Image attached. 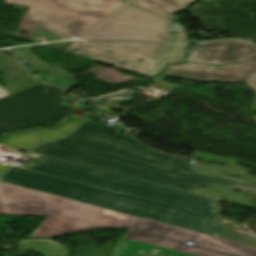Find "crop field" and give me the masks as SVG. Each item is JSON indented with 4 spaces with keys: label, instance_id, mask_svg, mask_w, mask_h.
Wrapping results in <instances>:
<instances>
[{
    "label": "crop field",
    "instance_id": "obj_1",
    "mask_svg": "<svg viewBox=\"0 0 256 256\" xmlns=\"http://www.w3.org/2000/svg\"><path fill=\"white\" fill-rule=\"evenodd\" d=\"M41 163L11 167L1 181L219 237L216 199L30 153Z\"/></svg>",
    "mask_w": 256,
    "mask_h": 256
},
{
    "label": "crop field",
    "instance_id": "obj_2",
    "mask_svg": "<svg viewBox=\"0 0 256 256\" xmlns=\"http://www.w3.org/2000/svg\"><path fill=\"white\" fill-rule=\"evenodd\" d=\"M32 152L180 190L221 184L256 193V186L196 173L184 160L156 152L115 128L89 120L70 137Z\"/></svg>",
    "mask_w": 256,
    "mask_h": 256
},
{
    "label": "crop field",
    "instance_id": "obj_3",
    "mask_svg": "<svg viewBox=\"0 0 256 256\" xmlns=\"http://www.w3.org/2000/svg\"><path fill=\"white\" fill-rule=\"evenodd\" d=\"M0 215L48 217L29 237H57L93 228H130L138 219L1 181Z\"/></svg>",
    "mask_w": 256,
    "mask_h": 256
},
{
    "label": "crop field",
    "instance_id": "obj_4",
    "mask_svg": "<svg viewBox=\"0 0 256 256\" xmlns=\"http://www.w3.org/2000/svg\"><path fill=\"white\" fill-rule=\"evenodd\" d=\"M64 91L42 83L0 99V138L3 133L39 126L52 127L75 108L63 103Z\"/></svg>",
    "mask_w": 256,
    "mask_h": 256
},
{
    "label": "crop field",
    "instance_id": "obj_5",
    "mask_svg": "<svg viewBox=\"0 0 256 256\" xmlns=\"http://www.w3.org/2000/svg\"><path fill=\"white\" fill-rule=\"evenodd\" d=\"M131 228L178 241H189L195 244L190 246L182 242L138 232L135 230H128L123 237L195 256H256L255 247L142 218H139Z\"/></svg>",
    "mask_w": 256,
    "mask_h": 256
},
{
    "label": "crop field",
    "instance_id": "obj_6",
    "mask_svg": "<svg viewBox=\"0 0 256 256\" xmlns=\"http://www.w3.org/2000/svg\"><path fill=\"white\" fill-rule=\"evenodd\" d=\"M173 21L126 5L79 39L165 41Z\"/></svg>",
    "mask_w": 256,
    "mask_h": 256
},
{
    "label": "crop field",
    "instance_id": "obj_7",
    "mask_svg": "<svg viewBox=\"0 0 256 256\" xmlns=\"http://www.w3.org/2000/svg\"><path fill=\"white\" fill-rule=\"evenodd\" d=\"M164 44L75 41L73 47L97 61L150 76ZM106 50L110 53L105 52Z\"/></svg>",
    "mask_w": 256,
    "mask_h": 256
},
{
    "label": "crop field",
    "instance_id": "obj_8",
    "mask_svg": "<svg viewBox=\"0 0 256 256\" xmlns=\"http://www.w3.org/2000/svg\"><path fill=\"white\" fill-rule=\"evenodd\" d=\"M256 70V61L242 64H231L222 67L184 63L172 64L164 71L168 76L205 82L212 79L241 83Z\"/></svg>",
    "mask_w": 256,
    "mask_h": 256
},
{
    "label": "crop field",
    "instance_id": "obj_9",
    "mask_svg": "<svg viewBox=\"0 0 256 256\" xmlns=\"http://www.w3.org/2000/svg\"><path fill=\"white\" fill-rule=\"evenodd\" d=\"M256 59V47L244 41L225 40L200 43L190 49L186 60L214 65Z\"/></svg>",
    "mask_w": 256,
    "mask_h": 256
},
{
    "label": "crop field",
    "instance_id": "obj_10",
    "mask_svg": "<svg viewBox=\"0 0 256 256\" xmlns=\"http://www.w3.org/2000/svg\"><path fill=\"white\" fill-rule=\"evenodd\" d=\"M5 2L99 18L123 4L117 0H6Z\"/></svg>",
    "mask_w": 256,
    "mask_h": 256
},
{
    "label": "crop field",
    "instance_id": "obj_11",
    "mask_svg": "<svg viewBox=\"0 0 256 256\" xmlns=\"http://www.w3.org/2000/svg\"><path fill=\"white\" fill-rule=\"evenodd\" d=\"M27 13L45 22L69 38H74L97 22L98 18L29 7Z\"/></svg>",
    "mask_w": 256,
    "mask_h": 256
},
{
    "label": "crop field",
    "instance_id": "obj_12",
    "mask_svg": "<svg viewBox=\"0 0 256 256\" xmlns=\"http://www.w3.org/2000/svg\"><path fill=\"white\" fill-rule=\"evenodd\" d=\"M88 113L76 120H71L56 129H40L36 131L23 132L19 134L9 135L8 139L1 142L3 145L28 151L34 145L51 141L67 135L71 130L77 127L84 119L90 116Z\"/></svg>",
    "mask_w": 256,
    "mask_h": 256
},
{
    "label": "crop field",
    "instance_id": "obj_13",
    "mask_svg": "<svg viewBox=\"0 0 256 256\" xmlns=\"http://www.w3.org/2000/svg\"><path fill=\"white\" fill-rule=\"evenodd\" d=\"M6 51L7 50H0V72L6 73L10 76L4 80L7 84V87L5 88L6 90L13 94L42 83L31 78L28 75L29 73L27 74L24 67L20 65L14 58L4 56L2 52Z\"/></svg>",
    "mask_w": 256,
    "mask_h": 256
},
{
    "label": "crop field",
    "instance_id": "obj_14",
    "mask_svg": "<svg viewBox=\"0 0 256 256\" xmlns=\"http://www.w3.org/2000/svg\"><path fill=\"white\" fill-rule=\"evenodd\" d=\"M196 0H130L128 4L135 5L163 17L175 20L173 15L184 10Z\"/></svg>",
    "mask_w": 256,
    "mask_h": 256
},
{
    "label": "crop field",
    "instance_id": "obj_15",
    "mask_svg": "<svg viewBox=\"0 0 256 256\" xmlns=\"http://www.w3.org/2000/svg\"><path fill=\"white\" fill-rule=\"evenodd\" d=\"M124 248L116 256H140L143 252L161 256H191L124 238Z\"/></svg>",
    "mask_w": 256,
    "mask_h": 256
},
{
    "label": "crop field",
    "instance_id": "obj_16",
    "mask_svg": "<svg viewBox=\"0 0 256 256\" xmlns=\"http://www.w3.org/2000/svg\"><path fill=\"white\" fill-rule=\"evenodd\" d=\"M18 59H23L29 63V68L31 70L36 71H44L46 73L51 74V78L54 79L56 77L67 74V72L62 68H51L47 64L38 60L32 53L28 51L27 47L24 48H16L10 49Z\"/></svg>",
    "mask_w": 256,
    "mask_h": 256
},
{
    "label": "crop field",
    "instance_id": "obj_17",
    "mask_svg": "<svg viewBox=\"0 0 256 256\" xmlns=\"http://www.w3.org/2000/svg\"><path fill=\"white\" fill-rule=\"evenodd\" d=\"M187 46L188 45L165 44L152 75L164 69L169 62H183Z\"/></svg>",
    "mask_w": 256,
    "mask_h": 256
},
{
    "label": "crop field",
    "instance_id": "obj_18",
    "mask_svg": "<svg viewBox=\"0 0 256 256\" xmlns=\"http://www.w3.org/2000/svg\"><path fill=\"white\" fill-rule=\"evenodd\" d=\"M50 83H53L59 87H62L66 90L76 86L77 84L71 79L70 75L67 74L65 76H62V77H59L57 79H54V80H51V81H48Z\"/></svg>",
    "mask_w": 256,
    "mask_h": 256
},
{
    "label": "crop field",
    "instance_id": "obj_19",
    "mask_svg": "<svg viewBox=\"0 0 256 256\" xmlns=\"http://www.w3.org/2000/svg\"><path fill=\"white\" fill-rule=\"evenodd\" d=\"M192 158H194V159H201V160H207V161H214V162H221V163H225L227 161L232 160L230 158L213 156L211 154H207V153H203V152H198V151L194 152Z\"/></svg>",
    "mask_w": 256,
    "mask_h": 256
},
{
    "label": "crop field",
    "instance_id": "obj_20",
    "mask_svg": "<svg viewBox=\"0 0 256 256\" xmlns=\"http://www.w3.org/2000/svg\"><path fill=\"white\" fill-rule=\"evenodd\" d=\"M173 27L181 30L177 35H169L167 42H188L184 28L177 23Z\"/></svg>",
    "mask_w": 256,
    "mask_h": 256
},
{
    "label": "crop field",
    "instance_id": "obj_21",
    "mask_svg": "<svg viewBox=\"0 0 256 256\" xmlns=\"http://www.w3.org/2000/svg\"><path fill=\"white\" fill-rule=\"evenodd\" d=\"M245 83L256 92V72Z\"/></svg>",
    "mask_w": 256,
    "mask_h": 256
},
{
    "label": "crop field",
    "instance_id": "obj_22",
    "mask_svg": "<svg viewBox=\"0 0 256 256\" xmlns=\"http://www.w3.org/2000/svg\"><path fill=\"white\" fill-rule=\"evenodd\" d=\"M10 95L3 87L0 86V98Z\"/></svg>",
    "mask_w": 256,
    "mask_h": 256
},
{
    "label": "crop field",
    "instance_id": "obj_23",
    "mask_svg": "<svg viewBox=\"0 0 256 256\" xmlns=\"http://www.w3.org/2000/svg\"><path fill=\"white\" fill-rule=\"evenodd\" d=\"M252 109L256 110V93H255V96H254V101H253Z\"/></svg>",
    "mask_w": 256,
    "mask_h": 256
},
{
    "label": "crop field",
    "instance_id": "obj_24",
    "mask_svg": "<svg viewBox=\"0 0 256 256\" xmlns=\"http://www.w3.org/2000/svg\"><path fill=\"white\" fill-rule=\"evenodd\" d=\"M103 110H104V112L108 111V112L111 113L112 115H115V113H114L113 111H111L109 108H105V109H103Z\"/></svg>",
    "mask_w": 256,
    "mask_h": 256
},
{
    "label": "crop field",
    "instance_id": "obj_25",
    "mask_svg": "<svg viewBox=\"0 0 256 256\" xmlns=\"http://www.w3.org/2000/svg\"><path fill=\"white\" fill-rule=\"evenodd\" d=\"M8 167H5V166H1L0 165V174L5 170V169H7Z\"/></svg>",
    "mask_w": 256,
    "mask_h": 256
},
{
    "label": "crop field",
    "instance_id": "obj_26",
    "mask_svg": "<svg viewBox=\"0 0 256 256\" xmlns=\"http://www.w3.org/2000/svg\"><path fill=\"white\" fill-rule=\"evenodd\" d=\"M96 110H98V109H96ZM96 110H94V111H92V112L94 113Z\"/></svg>",
    "mask_w": 256,
    "mask_h": 256
},
{
    "label": "crop field",
    "instance_id": "obj_27",
    "mask_svg": "<svg viewBox=\"0 0 256 256\" xmlns=\"http://www.w3.org/2000/svg\"><path fill=\"white\" fill-rule=\"evenodd\" d=\"M121 1L125 2L126 0H121Z\"/></svg>",
    "mask_w": 256,
    "mask_h": 256
}]
</instances>
